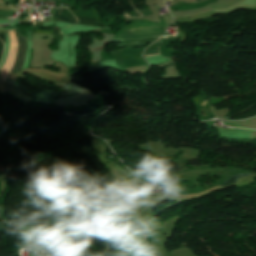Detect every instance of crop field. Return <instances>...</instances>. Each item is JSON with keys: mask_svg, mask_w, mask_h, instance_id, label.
Returning <instances> with one entry per match:
<instances>
[{"mask_svg": "<svg viewBox=\"0 0 256 256\" xmlns=\"http://www.w3.org/2000/svg\"><path fill=\"white\" fill-rule=\"evenodd\" d=\"M26 38V37H25Z\"/></svg>", "mask_w": 256, "mask_h": 256, "instance_id": "obj_12", "label": "crop field"}, {"mask_svg": "<svg viewBox=\"0 0 256 256\" xmlns=\"http://www.w3.org/2000/svg\"><path fill=\"white\" fill-rule=\"evenodd\" d=\"M165 1H170V0H165ZM172 1V0H171Z\"/></svg>", "mask_w": 256, "mask_h": 256, "instance_id": "obj_11", "label": "crop field"}, {"mask_svg": "<svg viewBox=\"0 0 256 256\" xmlns=\"http://www.w3.org/2000/svg\"><path fill=\"white\" fill-rule=\"evenodd\" d=\"M58 10L59 9H57L56 12H55L56 20L66 21V22H69V23H76L77 22V19L74 16L62 17V16L57 15ZM60 11H61V9H60ZM60 11H59V13H60Z\"/></svg>", "mask_w": 256, "mask_h": 256, "instance_id": "obj_4", "label": "crop field"}, {"mask_svg": "<svg viewBox=\"0 0 256 256\" xmlns=\"http://www.w3.org/2000/svg\"><path fill=\"white\" fill-rule=\"evenodd\" d=\"M157 53H158V51L156 50V51H154V52L145 53V56H147V55H152V54H157Z\"/></svg>", "mask_w": 256, "mask_h": 256, "instance_id": "obj_7", "label": "crop field"}, {"mask_svg": "<svg viewBox=\"0 0 256 256\" xmlns=\"http://www.w3.org/2000/svg\"><path fill=\"white\" fill-rule=\"evenodd\" d=\"M242 176H249V173H246V174H237V175H234V176H231L229 177V179L227 181H225L224 184H221V186H227L229 184H235L237 179H239L240 177Z\"/></svg>", "mask_w": 256, "mask_h": 256, "instance_id": "obj_5", "label": "crop field"}, {"mask_svg": "<svg viewBox=\"0 0 256 256\" xmlns=\"http://www.w3.org/2000/svg\"><path fill=\"white\" fill-rule=\"evenodd\" d=\"M17 35H18L19 49H18L14 66L11 70L12 72H17L21 70L24 62V58H25V51H26V40L23 39L18 33Z\"/></svg>", "mask_w": 256, "mask_h": 256, "instance_id": "obj_2", "label": "crop field"}, {"mask_svg": "<svg viewBox=\"0 0 256 256\" xmlns=\"http://www.w3.org/2000/svg\"><path fill=\"white\" fill-rule=\"evenodd\" d=\"M81 24H91L97 25V19L95 17H84V16H75Z\"/></svg>", "mask_w": 256, "mask_h": 256, "instance_id": "obj_3", "label": "crop field"}, {"mask_svg": "<svg viewBox=\"0 0 256 256\" xmlns=\"http://www.w3.org/2000/svg\"><path fill=\"white\" fill-rule=\"evenodd\" d=\"M0 220H3V218L1 217V215H0Z\"/></svg>", "mask_w": 256, "mask_h": 256, "instance_id": "obj_10", "label": "crop field"}, {"mask_svg": "<svg viewBox=\"0 0 256 256\" xmlns=\"http://www.w3.org/2000/svg\"><path fill=\"white\" fill-rule=\"evenodd\" d=\"M142 186L143 184L135 179V181L128 188L142 194Z\"/></svg>", "mask_w": 256, "mask_h": 256, "instance_id": "obj_6", "label": "crop field"}, {"mask_svg": "<svg viewBox=\"0 0 256 256\" xmlns=\"http://www.w3.org/2000/svg\"><path fill=\"white\" fill-rule=\"evenodd\" d=\"M0 39L4 42L3 34H0Z\"/></svg>", "mask_w": 256, "mask_h": 256, "instance_id": "obj_9", "label": "crop field"}, {"mask_svg": "<svg viewBox=\"0 0 256 256\" xmlns=\"http://www.w3.org/2000/svg\"><path fill=\"white\" fill-rule=\"evenodd\" d=\"M2 49H3V43L0 41V58H1V54H2Z\"/></svg>", "mask_w": 256, "mask_h": 256, "instance_id": "obj_8", "label": "crop field"}, {"mask_svg": "<svg viewBox=\"0 0 256 256\" xmlns=\"http://www.w3.org/2000/svg\"><path fill=\"white\" fill-rule=\"evenodd\" d=\"M163 26H154L148 28H136L131 30H125L118 39H130V38H142L162 35L165 31H160L159 28Z\"/></svg>", "mask_w": 256, "mask_h": 256, "instance_id": "obj_1", "label": "crop field"}]
</instances>
